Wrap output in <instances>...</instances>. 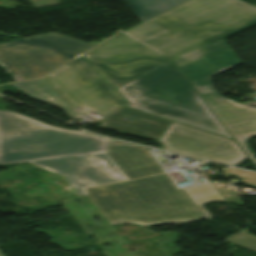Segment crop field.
Wrapping results in <instances>:
<instances>
[{
	"mask_svg": "<svg viewBox=\"0 0 256 256\" xmlns=\"http://www.w3.org/2000/svg\"><path fill=\"white\" fill-rule=\"evenodd\" d=\"M10 85L34 100L62 108L71 119L78 116L43 78L11 83Z\"/></svg>",
	"mask_w": 256,
	"mask_h": 256,
	"instance_id": "obj_9",
	"label": "crop field"
},
{
	"mask_svg": "<svg viewBox=\"0 0 256 256\" xmlns=\"http://www.w3.org/2000/svg\"><path fill=\"white\" fill-rule=\"evenodd\" d=\"M171 121L126 107L106 116L104 127L158 140Z\"/></svg>",
	"mask_w": 256,
	"mask_h": 256,
	"instance_id": "obj_8",
	"label": "crop field"
},
{
	"mask_svg": "<svg viewBox=\"0 0 256 256\" xmlns=\"http://www.w3.org/2000/svg\"><path fill=\"white\" fill-rule=\"evenodd\" d=\"M0 256H4V255L1 253V251H0Z\"/></svg>",
	"mask_w": 256,
	"mask_h": 256,
	"instance_id": "obj_12",
	"label": "crop field"
},
{
	"mask_svg": "<svg viewBox=\"0 0 256 256\" xmlns=\"http://www.w3.org/2000/svg\"><path fill=\"white\" fill-rule=\"evenodd\" d=\"M30 163L61 174L77 196L85 194L81 188L127 179L105 152Z\"/></svg>",
	"mask_w": 256,
	"mask_h": 256,
	"instance_id": "obj_7",
	"label": "crop field"
},
{
	"mask_svg": "<svg viewBox=\"0 0 256 256\" xmlns=\"http://www.w3.org/2000/svg\"><path fill=\"white\" fill-rule=\"evenodd\" d=\"M94 45L56 33L0 43V66L15 80L40 77Z\"/></svg>",
	"mask_w": 256,
	"mask_h": 256,
	"instance_id": "obj_4",
	"label": "crop field"
},
{
	"mask_svg": "<svg viewBox=\"0 0 256 256\" xmlns=\"http://www.w3.org/2000/svg\"><path fill=\"white\" fill-rule=\"evenodd\" d=\"M45 78L73 107L82 109L81 115H105L126 103L82 56Z\"/></svg>",
	"mask_w": 256,
	"mask_h": 256,
	"instance_id": "obj_5",
	"label": "crop field"
},
{
	"mask_svg": "<svg viewBox=\"0 0 256 256\" xmlns=\"http://www.w3.org/2000/svg\"><path fill=\"white\" fill-rule=\"evenodd\" d=\"M140 21L155 16L185 0H124Z\"/></svg>",
	"mask_w": 256,
	"mask_h": 256,
	"instance_id": "obj_10",
	"label": "crop field"
},
{
	"mask_svg": "<svg viewBox=\"0 0 256 256\" xmlns=\"http://www.w3.org/2000/svg\"><path fill=\"white\" fill-rule=\"evenodd\" d=\"M224 241L244 247L256 252V237L243 231L225 239Z\"/></svg>",
	"mask_w": 256,
	"mask_h": 256,
	"instance_id": "obj_11",
	"label": "crop field"
},
{
	"mask_svg": "<svg viewBox=\"0 0 256 256\" xmlns=\"http://www.w3.org/2000/svg\"><path fill=\"white\" fill-rule=\"evenodd\" d=\"M256 24V7L239 0H188L83 55L116 89L170 59L252 161L256 108L218 95L210 76L240 63L223 38Z\"/></svg>",
	"mask_w": 256,
	"mask_h": 256,
	"instance_id": "obj_1",
	"label": "crop field"
},
{
	"mask_svg": "<svg viewBox=\"0 0 256 256\" xmlns=\"http://www.w3.org/2000/svg\"><path fill=\"white\" fill-rule=\"evenodd\" d=\"M159 141L167 150L233 165L246 154L233 140L172 122Z\"/></svg>",
	"mask_w": 256,
	"mask_h": 256,
	"instance_id": "obj_6",
	"label": "crop field"
},
{
	"mask_svg": "<svg viewBox=\"0 0 256 256\" xmlns=\"http://www.w3.org/2000/svg\"><path fill=\"white\" fill-rule=\"evenodd\" d=\"M116 90L129 107L232 138L171 60Z\"/></svg>",
	"mask_w": 256,
	"mask_h": 256,
	"instance_id": "obj_3",
	"label": "crop field"
},
{
	"mask_svg": "<svg viewBox=\"0 0 256 256\" xmlns=\"http://www.w3.org/2000/svg\"><path fill=\"white\" fill-rule=\"evenodd\" d=\"M103 151L128 179L83 190L111 225L203 220L211 216L202 204L223 201L208 184L177 189L149 148L0 111V164Z\"/></svg>",
	"mask_w": 256,
	"mask_h": 256,
	"instance_id": "obj_2",
	"label": "crop field"
}]
</instances>
